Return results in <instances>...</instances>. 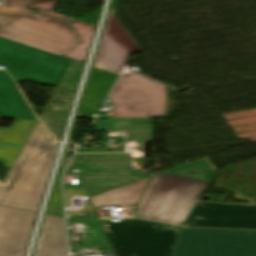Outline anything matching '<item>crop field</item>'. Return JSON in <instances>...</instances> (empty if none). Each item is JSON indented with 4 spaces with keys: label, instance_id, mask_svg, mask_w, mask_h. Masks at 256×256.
Instances as JSON below:
<instances>
[{
    "label": "crop field",
    "instance_id": "1",
    "mask_svg": "<svg viewBox=\"0 0 256 256\" xmlns=\"http://www.w3.org/2000/svg\"><path fill=\"white\" fill-rule=\"evenodd\" d=\"M59 0H3L0 36L63 56L79 42L64 16L51 13ZM25 8L43 10L36 14Z\"/></svg>",
    "mask_w": 256,
    "mask_h": 256
},
{
    "label": "crop field",
    "instance_id": "2",
    "mask_svg": "<svg viewBox=\"0 0 256 256\" xmlns=\"http://www.w3.org/2000/svg\"><path fill=\"white\" fill-rule=\"evenodd\" d=\"M215 170L202 159L154 175L138 205L137 217L181 224Z\"/></svg>",
    "mask_w": 256,
    "mask_h": 256
},
{
    "label": "crop field",
    "instance_id": "3",
    "mask_svg": "<svg viewBox=\"0 0 256 256\" xmlns=\"http://www.w3.org/2000/svg\"><path fill=\"white\" fill-rule=\"evenodd\" d=\"M55 137L38 122L0 191V204L38 211L55 156Z\"/></svg>",
    "mask_w": 256,
    "mask_h": 256
},
{
    "label": "crop field",
    "instance_id": "4",
    "mask_svg": "<svg viewBox=\"0 0 256 256\" xmlns=\"http://www.w3.org/2000/svg\"><path fill=\"white\" fill-rule=\"evenodd\" d=\"M101 225L114 256H172L179 232L140 220Z\"/></svg>",
    "mask_w": 256,
    "mask_h": 256
},
{
    "label": "crop field",
    "instance_id": "5",
    "mask_svg": "<svg viewBox=\"0 0 256 256\" xmlns=\"http://www.w3.org/2000/svg\"><path fill=\"white\" fill-rule=\"evenodd\" d=\"M109 98L114 118L164 117L166 85L134 72L118 78Z\"/></svg>",
    "mask_w": 256,
    "mask_h": 256
},
{
    "label": "crop field",
    "instance_id": "6",
    "mask_svg": "<svg viewBox=\"0 0 256 256\" xmlns=\"http://www.w3.org/2000/svg\"><path fill=\"white\" fill-rule=\"evenodd\" d=\"M174 256H256V231L182 228Z\"/></svg>",
    "mask_w": 256,
    "mask_h": 256
},
{
    "label": "crop field",
    "instance_id": "7",
    "mask_svg": "<svg viewBox=\"0 0 256 256\" xmlns=\"http://www.w3.org/2000/svg\"><path fill=\"white\" fill-rule=\"evenodd\" d=\"M71 60L0 37V65L15 81L32 79L55 84Z\"/></svg>",
    "mask_w": 256,
    "mask_h": 256
},
{
    "label": "crop field",
    "instance_id": "8",
    "mask_svg": "<svg viewBox=\"0 0 256 256\" xmlns=\"http://www.w3.org/2000/svg\"><path fill=\"white\" fill-rule=\"evenodd\" d=\"M184 226L256 229V206L197 201Z\"/></svg>",
    "mask_w": 256,
    "mask_h": 256
},
{
    "label": "crop field",
    "instance_id": "9",
    "mask_svg": "<svg viewBox=\"0 0 256 256\" xmlns=\"http://www.w3.org/2000/svg\"><path fill=\"white\" fill-rule=\"evenodd\" d=\"M36 213L0 205V256H24Z\"/></svg>",
    "mask_w": 256,
    "mask_h": 256
},
{
    "label": "crop field",
    "instance_id": "10",
    "mask_svg": "<svg viewBox=\"0 0 256 256\" xmlns=\"http://www.w3.org/2000/svg\"><path fill=\"white\" fill-rule=\"evenodd\" d=\"M86 168H100L84 173L82 187L88 197L125 184L124 154H88Z\"/></svg>",
    "mask_w": 256,
    "mask_h": 256
},
{
    "label": "crop field",
    "instance_id": "11",
    "mask_svg": "<svg viewBox=\"0 0 256 256\" xmlns=\"http://www.w3.org/2000/svg\"><path fill=\"white\" fill-rule=\"evenodd\" d=\"M37 121L15 119L9 129H0V164L12 168Z\"/></svg>",
    "mask_w": 256,
    "mask_h": 256
},
{
    "label": "crop field",
    "instance_id": "12",
    "mask_svg": "<svg viewBox=\"0 0 256 256\" xmlns=\"http://www.w3.org/2000/svg\"><path fill=\"white\" fill-rule=\"evenodd\" d=\"M117 77V75L103 70L91 68L89 80L78 111V113H83L81 117H95Z\"/></svg>",
    "mask_w": 256,
    "mask_h": 256
},
{
    "label": "crop field",
    "instance_id": "13",
    "mask_svg": "<svg viewBox=\"0 0 256 256\" xmlns=\"http://www.w3.org/2000/svg\"><path fill=\"white\" fill-rule=\"evenodd\" d=\"M33 256H67L64 218L45 216Z\"/></svg>",
    "mask_w": 256,
    "mask_h": 256
},
{
    "label": "crop field",
    "instance_id": "14",
    "mask_svg": "<svg viewBox=\"0 0 256 256\" xmlns=\"http://www.w3.org/2000/svg\"><path fill=\"white\" fill-rule=\"evenodd\" d=\"M0 114L3 117L36 120L14 83L0 71Z\"/></svg>",
    "mask_w": 256,
    "mask_h": 256
},
{
    "label": "crop field",
    "instance_id": "15",
    "mask_svg": "<svg viewBox=\"0 0 256 256\" xmlns=\"http://www.w3.org/2000/svg\"><path fill=\"white\" fill-rule=\"evenodd\" d=\"M149 178L137 180L127 185L90 197L93 207L114 205H137Z\"/></svg>",
    "mask_w": 256,
    "mask_h": 256
},
{
    "label": "crop field",
    "instance_id": "16",
    "mask_svg": "<svg viewBox=\"0 0 256 256\" xmlns=\"http://www.w3.org/2000/svg\"><path fill=\"white\" fill-rule=\"evenodd\" d=\"M94 67L119 75L130 53L102 34Z\"/></svg>",
    "mask_w": 256,
    "mask_h": 256
},
{
    "label": "crop field",
    "instance_id": "17",
    "mask_svg": "<svg viewBox=\"0 0 256 256\" xmlns=\"http://www.w3.org/2000/svg\"><path fill=\"white\" fill-rule=\"evenodd\" d=\"M71 25L76 31L80 42L67 52L64 57L73 61L83 62L95 27L77 20L71 22Z\"/></svg>",
    "mask_w": 256,
    "mask_h": 256
},
{
    "label": "crop field",
    "instance_id": "18",
    "mask_svg": "<svg viewBox=\"0 0 256 256\" xmlns=\"http://www.w3.org/2000/svg\"><path fill=\"white\" fill-rule=\"evenodd\" d=\"M148 119H114L110 131H124L127 136H151Z\"/></svg>",
    "mask_w": 256,
    "mask_h": 256
},
{
    "label": "crop field",
    "instance_id": "19",
    "mask_svg": "<svg viewBox=\"0 0 256 256\" xmlns=\"http://www.w3.org/2000/svg\"><path fill=\"white\" fill-rule=\"evenodd\" d=\"M103 33H105L107 36H109L111 39H113L130 53L139 51L138 47L134 44V42L119 25V23L116 21L111 13L108 14Z\"/></svg>",
    "mask_w": 256,
    "mask_h": 256
},
{
    "label": "crop field",
    "instance_id": "20",
    "mask_svg": "<svg viewBox=\"0 0 256 256\" xmlns=\"http://www.w3.org/2000/svg\"><path fill=\"white\" fill-rule=\"evenodd\" d=\"M46 214L64 217L59 180L55 181Z\"/></svg>",
    "mask_w": 256,
    "mask_h": 256
},
{
    "label": "crop field",
    "instance_id": "21",
    "mask_svg": "<svg viewBox=\"0 0 256 256\" xmlns=\"http://www.w3.org/2000/svg\"><path fill=\"white\" fill-rule=\"evenodd\" d=\"M125 169H126V184H127L130 182V178H131L130 154H125Z\"/></svg>",
    "mask_w": 256,
    "mask_h": 256
},
{
    "label": "crop field",
    "instance_id": "22",
    "mask_svg": "<svg viewBox=\"0 0 256 256\" xmlns=\"http://www.w3.org/2000/svg\"><path fill=\"white\" fill-rule=\"evenodd\" d=\"M109 135L122 136L123 132H110Z\"/></svg>",
    "mask_w": 256,
    "mask_h": 256
},
{
    "label": "crop field",
    "instance_id": "23",
    "mask_svg": "<svg viewBox=\"0 0 256 256\" xmlns=\"http://www.w3.org/2000/svg\"><path fill=\"white\" fill-rule=\"evenodd\" d=\"M128 139H150V137H127Z\"/></svg>",
    "mask_w": 256,
    "mask_h": 256
},
{
    "label": "crop field",
    "instance_id": "24",
    "mask_svg": "<svg viewBox=\"0 0 256 256\" xmlns=\"http://www.w3.org/2000/svg\"><path fill=\"white\" fill-rule=\"evenodd\" d=\"M2 185H3V184H2V183H0V189H1Z\"/></svg>",
    "mask_w": 256,
    "mask_h": 256
}]
</instances>
